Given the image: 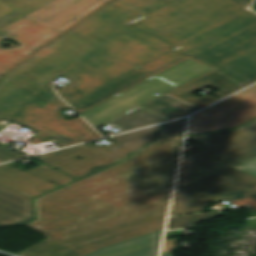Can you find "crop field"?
Listing matches in <instances>:
<instances>
[{"label": "crop field", "mask_w": 256, "mask_h": 256, "mask_svg": "<svg viewBox=\"0 0 256 256\" xmlns=\"http://www.w3.org/2000/svg\"><path fill=\"white\" fill-rule=\"evenodd\" d=\"M251 1L111 0L0 78V120L40 90L6 117L39 131L34 145L101 138L81 117L59 114L69 106L50 80L60 73L71 81L57 91L81 113L187 58L214 70L167 95L204 108L218 100L191 93L210 86L222 99L256 82Z\"/></svg>", "instance_id": "8a807250"}, {"label": "crop field", "mask_w": 256, "mask_h": 256, "mask_svg": "<svg viewBox=\"0 0 256 256\" xmlns=\"http://www.w3.org/2000/svg\"><path fill=\"white\" fill-rule=\"evenodd\" d=\"M183 137L157 141L102 172L36 200L39 220L28 227L49 238L22 256H82L162 230ZM152 201V202H149Z\"/></svg>", "instance_id": "ac0d7876"}, {"label": "crop field", "mask_w": 256, "mask_h": 256, "mask_svg": "<svg viewBox=\"0 0 256 256\" xmlns=\"http://www.w3.org/2000/svg\"><path fill=\"white\" fill-rule=\"evenodd\" d=\"M187 139L204 147L182 158L170 216L203 212L208 202L221 200L256 210V177L231 168L256 157V120Z\"/></svg>", "instance_id": "34b2d1b8"}, {"label": "crop field", "mask_w": 256, "mask_h": 256, "mask_svg": "<svg viewBox=\"0 0 256 256\" xmlns=\"http://www.w3.org/2000/svg\"><path fill=\"white\" fill-rule=\"evenodd\" d=\"M256 117V85L193 116L189 134L236 127Z\"/></svg>", "instance_id": "412701ff"}, {"label": "crop field", "mask_w": 256, "mask_h": 256, "mask_svg": "<svg viewBox=\"0 0 256 256\" xmlns=\"http://www.w3.org/2000/svg\"><path fill=\"white\" fill-rule=\"evenodd\" d=\"M177 86L155 76L83 113L96 129ZM160 96V95H159Z\"/></svg>", "instance_id": "f4fd0767"}, {"label": "crop field", "mask_w": 256, "mask_h": 256, "mask_svg": "<svg viewBox=\"0 0 256 256\" xmlns=\"http://www.w3.org/2000/svg\"><path fill=\"white\" fill-rule=\"evenodd\" d=\"M61 32L25 18L0 31V41L7 38L21 46L0 53V77ZM40 49V48H39Z\"/></svg>", "instance_id": "dd49c442"}, {"label": "crop field", "mask_w": 256, "mask_h": 256, "mask_svg": "<svg viewBox=\"0 0 256 256\" xmlns=\"http://www.w3.org/2000/svg\"><path fill=\"white\" fill-rule=\"evenodd\" d=\"M35 158L78 179L118 162L85 144L35 156Z\"/></svg>", "instance_id": "e52e79f7"}, {"label": "crop field", "mask_w": 256, "mask_h": 256, "mask_svg": "<svg viewBox=\"0 0 256 256\" xmlns=\"http://www.w3.org/2000/svg\"><path fill=\"white\" fill-rule=\"evenodd\" d=\"M110 0H54L25 18L65 31Z\"/></svg>", "instance_id": "d8731c3e"}, {"label": "crop field", "mask_w": 256, "mask_h": 256, "mask_svg": "<svg viewBox=\"0 0 256 256\" xmlns=\"http://www.w3.org/2000/svg\"><path fill=\"white\" fill-rule=\"evenodd\" d=\"M167 124L108 138L114 143L105 146L98 147L92 143L87 145L120 161L155 139L162 137Z\"/></svg>", "instance_id": "5a996713"}, {"label": "crop field", "mask_w": 256, "mask_h": 256, "mask_svg": "<svg viewBox=\"0 0 256 256\" xmlns=\"http://www.w3.org/2000/svg\"><path fill=\"white\" fill-rule=\"evenodd\" d=\"M0 184L34 198L61 186L8 164L0 166Z\"/></svg>", "instance_id": "3316defc"}, {"label": "crop field", "mask_w": 256, "mask_h": 256, "mask_svg": "<svg viewBox=\"0 0 256 256\" xmlns=\"http://www.w3.org/2000/svg\"><path fill=\"white\" fill-rule=\"evenodd\" d=\"M159 231V230H158ZM162 231L109 246L85 256H129L153 247L160 246Z\"/></svg>", "instance_id": "28ad6ade"}, {"label": "crop field", "mask_w": 256, "mask_h": 256, "mask_svg": "<svg viewBox=\"0 0 256 256\" xmlns=\"http://www.w3.org/2000/svg\"><path fill=\"white\" fill-rule=\"evenodd\" d=\"M52 0H0V30Z\"/></svg>", "instance_id": "d1516ede"}, {"label": "crop field", "mask_w": 256, "mask_h": 256, "mask_svg": "<svg viewBox=\"0 0 256 256\" xmlns=\"http://www.w3.org/2000/svg\"><path fill=\"white\" fill-rule=\"evenodd\" d=\"M167 121L141 107L107 123L104 126H107L109 124L115 126L117 129L121 130L117 133L160 123ZM102 126V127H104ZM101 127V128H102ZM103 136H107L106 133L99 129H97ZM116 134V133H115Z\"/></svg>", "instance_id": "22f410ed"}, {"label": "crop field", "mask_w": 256, "mask_h": 256, "mask_svg": "<svg viewBox=\"0 0 256 256\" xmlns=\"http://www.w3.org/2000/svg\"><path fill=\"white\" fill-rule=\"evenodd\" d=\"M169 120L192 114L201 108L169 97L167 95L143 106Z\"/></svg>", "instance_id": "cbeb9de0"}, {"label": "crop field", "mask_w": 256, "mask_h": 256, "mask_svg": "<svg viewBox=\"0 0 256 256\" xmlns=\"http://www.w3.org/2000/svg\"><path fill=\"white\" fill-rule=\"evenodd\" d=\"M212 69L187 59L159 74L157 76L182 85Z\"/></svg>", "instance_id": "5142ce71"}, {"label": "crop field", "mask_w": 256, "mask_h": 256, "mask_svg": "<svg viewBox=\"0 0 256 256\" xmlns=\"http://www.w3.org/2000/svg\"><path fill=\"white\" fill-rule=\"evenodd\" d=\"M33 199L25 194L0 185V205L34 217Z\"/></svg>", "instance_id": "d9b57169"}, {"label": "crop field", "mask_w": 256, "mask_h": 256, "mask_svg": "<svg viewBox=\"0 0 256 256\" xmlns=\"http://www.w3.org/2000/svg\"><path fill=\"white\" fill-rule=\"evenodd\" d=\"M34 161H36V160H34ZM36 162H38V161H36ZM38 163L41 164L42 166L33 168V169L29 170L28 172H31L33 174H36L38 176H41V177L46 178L48 180H51V181H53V182H55L59 185H62V186L67 184V183H70L72 181L77 180V179H75V178H73L69 175H66V174H64V173L46 165V164H43L41 162H38ZM8 164L27 171L26 169L18 166L14 162H11V163H8Z\"/></svg>", "instance_id": "733c2abd"}, {"label": "crop field", "mask_w": 256, "mask_h": 256, "mask_svg": "<svg viewBox=\"0 0 256 256\" xmlns=\"http://www.w3.org/2000/svg\"><path fill=\"white\" fill-rule=\"evenodd\" d=\"M220 216H224L223 212L221 213L211 212V213L173 217L169 219L167 229L173 230V229L194 227L201 220H207L213 217H220Z\"/></svg>", "instance_id": "4a817a6b"}, {"label": "crop field", "mask_w": 256, "mask_h": 256, "mask_svg": "<svg viewBox=\"0 0 256 256\" xmlns=\"http://www.w3.org/2000/svg\"><path fill=\"white\" fill-rule=\"evenodd\" d=\"M34 218L0 206V226L25 224Z\"/></svg>", "instance_id": "bc2a9ffb"}, {"label": "crop field", "mask_w": 256, "mask_h": 256, "mask_svg": "<svg viewBox=\"0 0 256 256\" xmlns=\"http://www.w3.org/2000/svg\"><path fill=\"white\" fill-rule=\"evenodd\" d=\"M186 122H187V118L180 120V121L173 122L170 126V129H169L166 137L183 135L185 126H186Z\"/></svg>", "instance_id": "214f88e0"}, {"label": "crop field", "mask_w": 256, "mask_h": 256, "mask_svg": "<svg viewBox=\"0 0 256 256\" xmlns=\"http://www.w3.org/2000/svg\"><path fill=\"white\" fill-rule=\"evenodd\" d=\"M233 168H236L238 170H241L256 176V158L248 162L242 163L240 165H237Z\"/></svg>", "instance_id": "92a150f3"}, {"label": "crop field", "mask_w": 256, "mask_h": 256, "mask_svg": "<svg viewBox=\"0 0 256 256\" xmlns=\"http://www.w3.org/2000/svg\"><path fill=\"white\" fill-rule=\"evenodd\" d=\"M23 157L21 154L0 147V161L5 162Z\"/></svg>", "instance_id": "dafd665d"}, {"label": "crop field", "mask_w": 256, "mask_h": 256, "mask_svg": "<svg viewBox=\"0 0 256 256\" xmlns=\"http://www.w3.org/2000/svg\"><path fill=\"white\" fill-rule=\"evenodd\" d=\"M158 251H159V247L153 248V249H150V250H147V251H144V252L132 255V256H158Z\"/></svg>", "instance_id": "00972430"}, {"label": "crop field", "mask_w": 256, "mask_h": 256, "mask_svg": "<svg viewBox=\"0 0 256 256\" xmlns=\"http://www.w3.org/2000/svg\"><path fill=\"white\" fill-rule=\"evenodd\" d=\"M162 256H173L171 253H162Z\"/></svg>", "instance_id": "a9b5d70f"}, {"label": "crop field", "mask_w": 256, "mask_h": 256, "mask_svg": "<svg viewBox=\"0 0 256 256\" xmlns=\"http://www.w3.org/2000/svg\"><path fill=\"white\" fill-rule=\"evenodd\" d=\"M252 9H253L254 11H256V1H255L254 5L252 6Z\"/></svg>", "instance_id": "4177f3b9"}, {"label": "crop field", "mask_w": 256, "mask_h": 256, "mask_svg": "<svg viewBox=\"0 0 256 256\" xmlns=\"http://www.w3.org/2000/svg\"><path fill=\"white\" fill-rule=\"evenodd\" d=\"M4 49H5V48H3V47L0 46V52H1L2 50H4Z\"/></svg>", "instance_id": "730fd06b"}]
</instances>
